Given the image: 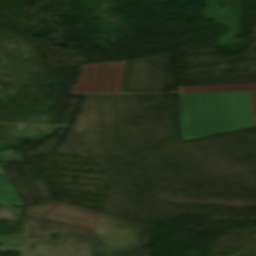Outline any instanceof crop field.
<instances>
[{
    "instance_id": "8a807250",
    "label": "crop field",
    "mask_w": 256,
    "mask_h": 256,
    "mask_svg": "<svg viewBox=\"0 0 256 256\" xmlns=\"http://www.w3.org/2000/svg\"><path fill=\"white\" fill-rule=\"evenodd\" d=\"M178 91L182 140L256 125V84Z\"/></svg>"
},
{
    "instance_id": "ac0d7876",
    "label": "crop field",
    "mask_w": 256,
    "mask_h": 256,
    "mask_svg": "<svg viewBox=\"0 0 256 256\" xmlns=\"http://www.w3.org/2000/svg\"><path fill=\"white\" fill-rule=\"evenodd\" d=\"M127 61L85 65L72 94L121 93Z\"/></svg>"
},
{
    "instance_id": "34b2d1b8",
    "label": "crop field",
    "mask_w": 256,
    "mask_h": 256,
    "mask_svg": "<svg viewBox=\"0 0 256 256\" xmlns=\"http://www.w3.org/2000/svg\"><path fill=\"white\" fill-rule=\"evenodd\" d=\"M0 205L24 206L0 169Z\"/></svg>"
}]
</instances>
